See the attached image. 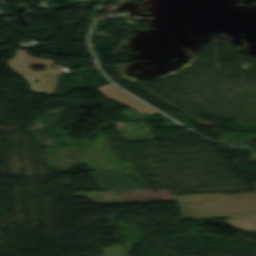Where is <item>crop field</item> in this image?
Here are the masks:
<instances>
[{"label":"crop field","mask_w":256,"mask_h":256,"mask_svg":"<svg viewBox=\"0 0 256 256\" xmlns=\"http://www.w3.org/2000/svg\"><path fill=\"white\" fill-rule=\"evenodd\" d=\"M34 82H35V81H31V82H29V83H30L31 86H34V85H35Z\"/></svg>","instance_id":"obj_1"}]
</instances>
